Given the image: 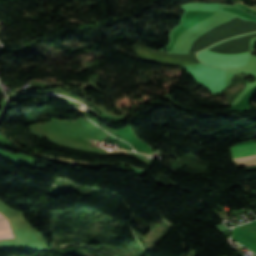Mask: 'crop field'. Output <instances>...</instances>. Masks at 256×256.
Instances as JSON below:
<instances>
[{"mask_svg":"<svg viewBox=\"0 0 256 256\" xmlns=\"http://www.w3.org/2000/svg\"><path fill=\"white\" fill-rule=\"evenodd\" d=\"M181 69L189 71L201 85L214 94L226 87L225 72L222 69L206 65L187 66Z\"/></svg>","mask_w":256,"mask_h":256,"instance_id":"crop-field-1","label":"crop field"},{"mask_svg":"<svg viewBox=\"0 0 256 256\" xmlns=\"http://www.w3.org/2000/svg\"><path fill=\"white\" fill-rule=\"evenodd\" d=\"M198 59L204 63L220 68L224 67H243L248 60V52L237 55L218 54L203 50L198 53Z\"/></svg>","mask_w":256,"mask_h":256,"instance_id":"crop-field-2","label":"crop field"},{"mask_svg":"<svg viewBox=\"0 0 256 256\" xmlns=\"http://www.w3.org/2000/svg\"><path fill=\"white\" fill-rule=\"evenodd\" d=\"M233 157H242L256 154V143L243 144L232 147ZM235 165L238 167L256 165V155L234 159Z\"/></svg>","mask_w":256,"mask_h":256,"instance_id":"crop-field-3","label":"crop field"},{"mask_svg":"<svg viewBox=\"0 0 256 256\" xmlns=\"http://www.w3.org/2000/svg\"><path fill=\"white\" fill-rule=\"evenodd\" d=\"M14 238L7 220L0 221V239Z\"/></svg>","mask_w":256,"mask_h":256,"instance_id":"crop-field-4","label":"crop field"},{"mask_svg":"<svg viewBox=\"0 0 256 256\" xmlns=\"http://www.w3.org/2000/svg\"><path fill=\"white\" fill-rule=\"evenodd\" d=\"M5 216L3 215V213L0 211V218H4Z\"/></svg>","mask_w":256,"mask_h":256,"instance_id":"crop-field-5","label":"crop field"}]
</instances>
